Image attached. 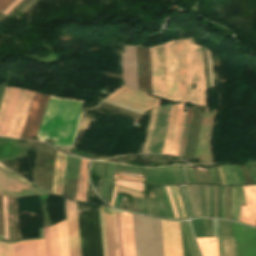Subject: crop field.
<instances>
[{
	"label": "crop field",
	"mask_w": 256,
	"mask_h": 256,
	"mask_svg": "<svg viewBox=\"0 0 256 256\" xmlns=\"http://www.w3.org/2000/svg\"><path fill=\"white\" fill-rule=\"evenodd\" d=\"M84 102L49 97L37 137L54 141L52 146L71 147Z\"/></svg>",
	"instance_id": "obj_1"
},
{
	"label": "crop field",
	"mask_w": 256,
	"mask_h": 256,
	"mask_svg": "<svg viewBox=\"0 0 256 256\" xmlns=\"http://www.w3.org/2000/svg\"><path fill=\"white\" fill-rule=\"evenodd\" d=\"M189 102L206 106L204 61L201 47L191 39L185 40ZM197 83V88L191 89V84Z\"/></svg>",
	"instance_id": "obj_2"
},
{
	"label": "crop field",
	"mask_w": 256,
	"mask_h": 256,
	"mask_svg": "<svg viewBox=\"0 0 256 256\" xmlns=\"http://www.w3.org/2000/svg\"><path fill=\"white\" fill-rule=\"evenodd\" d=\"M82 256H103L98 209L78 211Z\"/></svg>",
	"instance_id": "obj_3"
},
{
	"label": "crop field",
	"mask_w": 256,
	"mask_h": 256,
	"mask_svg": "<svg viewBox=\"0 0 256 256\" xmlns=\"http://www.w3.org/2000/svg\"><path fill=\"white\" fill-rule=\"evenodd\" d=\"M167 99L180 101L176 41L163 44Z\"/></svg>",
	"instance_id": "obj_4"
},
{
	"label": "crop field",
	"mask_w": 256,
	"mask_h": 256,
	"mask_svg": "<svg viewBox=\"0 0 256 256\" xmlns=\"http://www.w3.org/2000/svg\"><path fill=\"white\" fill-rule=\"evenodd\" d=\"M234 256H256V229L232 222Z\"/></svg>",
	"instance_id": "obj_5"
},
{
	"label": "crop field",
	"mask_w": 256,
	"mask_h": 256,
	"mask_svg": "<svg viewBox=\"0 0 256 256\" xmlns=\"http://www.w3.org/2000/svg\"><path fill=\"white\" fill-rule=\"evenodd\" d=\"M184 115L183 104L172 106L163 153L177 155Z\"/></svg>",
	"instance_id": "obj_6"
},
{
	"label": "crop field",
	"mask_w": 256,
	"mask_h": 256,
	"mask_svg": "<svg viewBox=\"0 0 256 256\" xmlns=\"http://www.w3.org/2000/svg\"><path fill=\"white\" fill-rule=\"evenodd\" d=\"M208 110L205 107L196 150L195 158H199V163H212L211 130L216 110L212 113H208Z\"/></svg>",
	"instance_id": "obj_7"
},
{
	"label": "crop field",
	"mask_w": 256,
	"mask_h": 256,
	"mask_svg": "<svg viewBox=\"0 0 256 256\" xmlns=\"http://www.w3.org/2000/svg\"><path fill=\"white\" fill-rule=\"evenodd\" d=\"M47 99L48 95L34 93L20 138L30 140L32 136L37 135Z\"/></svg>",
	"instance_id": "obj_8"
},
{
	"label": "crop field",
	"mask_w": 256,
	"mask_h": 256,
	"mask_svg": "<svg viewBox=\"0 0 256 256\" xmlns=\"http://www.w3.org/2000/svg\"><path fill=\"white\" fill-rule=\"evenodd\" d=\"M109 99L142 109L149 110L152 107L158 106L160 100L151 97L145 93L135 91L126 87L120 88Z\"/></svg>",
	"instance_id": "obj_9"
},
{
	"label": "crop field",
	"mask_w": 256,
	"mask_h": 256,
	"mask_svg": "<svg viewBox=\"0 0 256 256\" xmlns=\"http://www.w3.org/2000/svg\"><path fill=\"white\" fill-rule=\"evenodd\" d=\"M0 194L14 197L48 194L42 189H34L0 169Z\"/></svg>",
	"instance_id": "obj_10"
},
{
	"label": "crop field",
	"mask_w": 256,
	"mask_h": 256,
	"mask_svg": "<svg viewBox=\"0 0 256 256\" xmlns=\"http://www.w3.org/2000/svg\"><path fill=\"white\" fill-rule=\"evenodd\" d=\"M153 94L166 99L162 46L149 48Z\"/></svg>",
	"instance_id": "obj_11"
},
{
	"label": "crop field",
	"mask_w": 256,
	"mask_h": 256,
	"mask_svg": "<svg viewBox=\"0 0 256 256\" xmlns=\"http://www.w3.org/2000/svg\"><path fill=\"white\" fill-rule=\"evenodd\" d=\"M164 256H183L179 222L161 220Z\"/></svg>",
	"instance_id": "obj_12"
},
{
	"label": "crop field",
	"mask_w": 256,
	"mask_h": 256,
	"mask_svg": "<svg viewBox=\"0 0 256 256\" xmlns=\"http://www.w3.org/2000/svg\"><path fill=\"white\" fill-rule=\"evenodd\" d=\"M0 256H45L43 239L16 244L0 242Z\"/></svg>",
	"instance_id": "obj_13"
},
{
	"label": "crop field",
	"mask_w": 256,
	"mask_h": 256,
	"mask_svg": "<svg viewBox=\"0 0 256 256\" xmlns=\"http://www.w3.org/2000/svg\"><path fill=\"white\" fill-rule=\"evenodd\" d=\"M34 92L21 90L7 137L19 138Z\"/></svg>",
	"instance_id": "obj_14"
},
{
	"label": "crop field",
	"mask_w": 256,
	"mask_h": 256,
	"mask_svg": "<svg viewBox=\"0 0 256 256\" xmlns=\"http://www.w3.org/2000/svg\"><path fill=\"white\" fill-rule=\"evenodd\" d=\"M19 91V88L6 87L5 89L0 106V136L6 137L7 135Z\"/></svg>",
	"instance_id": "obj_15"
},
{
	"label": "crop field",
	"mask_w": 256,
	"mask_h": 256,
	"mask_svg": "<svg viewBox=\"0 0 256 256\" xmlns=\"http://www.w3.org/2000/svg\"><path fill=\"white\" fill-rule=\"evenodd\" d=\"M76 210V203L66 200L65 213L68 225L70 256H81Z\"/></svg>",
	"instance_id": "obj_16"
},
{
	"label": "crop field",
	"mask_w": 256,
	"mask_h": 256,
	"mask_svg": "<svg viewBox=\"0 0 256 256\" xmlns=\"http://www.w3.org/2000/svg\"><path fill=\"white\" fill-rule=\"evenodd\" d=\"M247 207H241L242 222L256 226V186L243 187Z\"/></svg>",
	"instance_id": "obj_17"
},
{
	"label": "crop field",
	"mask_w": 256,
	"mask_h": 256,
	"mask_svg": "<svg viewBox=\"0 0 256 256\" xmlns=\"http://www.w3.org/2000/svg\"><path fill=\"white\" fill-rule=\"evenodd\" d=\"M108 255L117 256L116 235L113 210L104 207Z\"/></svg>",
	"instance_id": "obj_18"
},
{
	"label": "crop field",
	"mask_w": 256,
	"mask_h": 256,
	"mask_svg": "<svg viewBox=\"0 0 256 256\" xmlns=\"http://www.w3.org/2000/svg\"><path fill=\"white\" fill-rule=\"evenodd\" d=\"M181 101L188 102L184 40L177 41Z\"/></svg>",
	"instance_id": "obj_19"
},
{
	"label": "crop field",
	"mask_w": 256,
	"mask_h": 256,
	"mask_svg": "<svg viewBox=\"0 0 256 256\" xmlns=\"http://www.w3.org/2000/svg\"><path fill=\"white\" fill-rule=\"evenodd\" d=\"M67 156L60 154L57 152L55 168H54V176L52 183V194H60L62 192V185L64 179L65 165H66Z\"/></svg>",
	"instance_id": "obj_20"
},
{
	"label": "crop field",
	"mask_w": 256,
	"mask_h": 256,
	"mask_svg": "<svg viewBox=\"0 0 256 256\" xmlns=\"http://www.w3.org/2000/svg\"><path fill=\"white\" fill-rule=\"evenodd\" d=\"M126 256H135L131 214L122 211Z\"/></svg>",
	"instance_id": "obj_21"
},
{
	"label": "crop field",
	"mask_w": 256,
	"mask_h": 256,
	"mask_svg": "<svg viewBox=\"0 0 256 256\" xmlns=\"http://www.w3.org/2000/svg\"><path fill=\"white\" fill-rule=\"evenodd\" d=\"M87 160L81 159L76 200L85 202L88 187Z\"/></svg>",
	"instance_id": "obj_22"
},
{
	"label": "crop field",
	"mask_w": 256,
	"mask_h": 256,
	"mask_svg": "<svg viewBox=\"0 0 256 256\" xmlns=\"http://www.w3.org/2000/svg\"><path fill=\"white\" fill-rule=\"evenodd\" d=\"M59 256H69L66 220L56 225Z\"/></svg>",
	"instance_id": "obj_23"
},
{
	"label": "crop field",
	"mask_w": 256,
	"mask_h": 256,
	"mask_svg": "<svg viewBox=\"0 0 256 256\" xmlns=\"http://www.w3.org/2000/svg\"><path fill=\"white\" fill-rule=\"evenodd\" d=\"M202 256H218L217 238H196Z\"/></svg>",
	"instance_id": "obj_24"
},
{
	"label": "crop field",
	"mask_w": 256,
	"mask_h": 256,
	"mask_svg": "<svg viewBox=\"0 0 256 256\" xmlns=\"http://www.w3.org/2000/svg\"><path fill=\"white\" fill-rule=\"evenodd\" d=\"M153 171H154V184L175 183L171 166L162 167V168H153Z\"/></svg>",
	"instance_id": "obj_25"
},
{
	"label": "crop field",
	"mask_w": 256,
	"mask_h": 256,
	"mask_svg": "<svg viewBox=\"0 0 256 256\" xmlns=\"http://www.w3.org/2000/svg\"><path fill=\"white\" fill-rule=\"evenodd\" d=\"M114 215H115L118 255L119 256H125V247H124V236H123V226H122L121 211L114 210Z\"/></svg>",
	"instance_id": "obj_26"
},
{
	"label": "crop field",
	"mask_w": 256,
	"mask_h": 256,
	"mask_svg": "<svg viewBox=\"0 0 256 256\" xmlns=\"http://www.w3.org/2000/svg\"><path fill=\"white\" fill-rule=\"evenodd\" d=\"M157 108H154L152 110L151 118H150V123H149V128L147 132V137H146V142H145V147H144V152H149L150 150V145H151V140H152V135H153V129H154V124H155V119H156V114H157Z\"/></svg>",
	"instance_id": "obj_27"
},
{
	"label": "crop field",
	"mask_w": 256,
	"mask_h": 256,
	"mask_svg": "<svg viewBox=\"0 0 256 256\" xmlns=\"http://www.w3.org/2000/svg\"><path fill=\"white\" fill-rule=\"evenodd\" d=\"M219 245V256H223V245H224V256H233L232 238H218Z\"/></svg>",
	"instance_id": "obj_28"
},
{
	"label": "crop field",
	"mask_w": 256,
	"mask_h": 256,
	"mask_svg": "<svg viewBox=\"0 0 256 256\" xmlns=\"http://www.w3.org/2000/svg\"><path fill=\"white\" fill-rule=\"evenodd\" d=\"M190 187H191V191H192V196H193V202H194V207H195L196 215L199 216L198 215V211H197V206H198L199 214H200V216H202L201 205H200V197H199V186H195L197 206H196V200H195L194 186H190ZM187 188H188V194H189V199H190L193 215L195 217L196 215H195V211H194V207H193V203H192V197H191L190 188H189V186H187Z\"/></svg>",
	"instance_id": "obj_29"
},
{
	"label": "crop field",
	"mask_w": 256,
	"mask_h": 256,
	"mask_svg": "<svg viewBox=\"0 0 256 256\" xmlns=\"http://www.w3.org/2000/svg\"><path fill=\"white\" fill-rule=\"evenodd\" d=\"M224 167H225L226 172H227V174H228V177H229V180H230V184H231V185H233V182H234V185H238V184H241V183H242V184H245L244 178H243V176H242V174H241L240 169H239L238 166H235V167H236V169H237V172H238L239 178H240V180H241V183H240V181H239V178H238V175H237V172H236V169H235L234 166H228L229 171H230V174H231L232 179H233V182H232V179H231V176H230V174H229V171H228L227 166H224Z\"/></svg>",
	"instance_id": "obj_30"
},
{
	"label": "crop field",
	"mask_w": 256,
	"mask_h": 256,
	"mask_svg": "<svg viewBox=\"0 0 256 256\" xmlns=\"http://www.w3.org/2000/svg\"><path fill=\"white\" fill-rule=\"evenodd\" d=\"M159 190H160V193H161V197H162V201H163V204H164V207H165L167 217L168 218H174V215H173L170 203H169V199H168V195H167L165 187L160 186Z\"/></svg>",
	"instance_id": "obj_31"
},
{
	"label": "crop field",
	"mask_w": 256,
	"mask_h": 256,
	"mask_svg": "<svg viewBox=\"0 0 256 256\" xmlns=\"http://www.w3.org/2000/svg\"><path fill=\"white\" fill-rule=\"evenodd\" d=\"M187 110H188V112H187V116H186L184 132H183V137H182V142H181V150L179 152V156H183V154H184V148H185L186 137H187L188 126H189V121H190V115H191L192 108H187Z\"/></svg>",
	"instance_id": "obj_32"
},
{
	"label": "crop field",
	"mask_w": 256,
	"mask_h": 256,
	"mask_svg": "<svg viewBox=\"0 0 256 256\" xmlns=\"http://www.w3.org/2000/svg\"><path fill=\"white\" fill-rule=\"evenodd\" d=\"M220 237H232L231 222L219 220Z\"/></svg>",
	"instance_id": "obj_33"
},
{
	"label": "crop field",
	"mask_w": 256,
	"mask_h": 256,
	"mask_svg": "<svg viewBox=\"0 0 256 256\" xmlns=\"http://www.w3.org/2000/svg\"><path fill=\"white\" fill-rule=\"evenodd\" d=\"M49 232H50V242H51V253H52V256H58L55 225L49 227Z\"/></svg>",
	"instance_id": "obj_34"
},
{
	"label": "crop field",
	"mask_w": 256,
	"mask_h": 256,
	"mask_svg": "<svg viewBox=\"0 0 256 256\" xmlns=\"http://www.w3.org/2000/svg\"><path fill=\"white\" fill-rule=\"evenodd\" d=\"M99 213H100V223H101V232H102V241H103V251H104V256H107V246H106V235H105L103 210L99 209Z\"/></svg>",
	"instance_id": "obj_35"
},
{
	"label": "crop field",
	"mask_w": 256,
	"mask_h": 256,
	"mask_svg": "<svg viewBox=\"0 0 256 256\" xmlns=\"http://www.w3.org/2000/svg\"><path fill=\"white\" fill-rule=\"evenodd\" d=\"M116 184L143 191V183L134 181H115Z\"/></svg>",
	"instance_id": "obj_36"
},
{
	"label": "crop field",
	"mask_w": 256,
	"mask_h": 256,
	"mask_svg": "<svg viewBox=\"0 0 256 256\" xmlns=\"http://www.w3.org/2000/svg\"><path fill=\"white\" fill-rule=\"evenodd\" d=\"M196 236H205L201 219L191 220Z\"/></svg>",
	"instance_id": "obj_37"
},
{
	"label": "crop field",
	"mask_w": 256,
	"mask_h": 256,
	"mask_svg": "<svg viewBox=\"0 0 256 256\" xmlns=\"http://www.w3.org/2000/svg\"><path fill=\"white\" fill-rule=\"evenodd\" d=\"M117 192L129 194L133 197H140V198L144 199V194L142 192L133 191V190H130V189H127V188L119 187Z\"/></svg>",
	"instance_id": "obj_38"
},
{
	"label": "crop field",
	"mask_w": 256,
	"mask_h": 256,
	"mask_svg": "<svg viewBox=\"0 0 256 256\" xmlns=\"http://www.w3.org/2000/svg\"><path fill=\"white\" fill-rule=\"evenodd\" d=\"M180 223H181V227H182V230H183L186 242H187V246H188V249H189V252H190V256H195L192 245H191V242H190V239H189V236H188V233H187L185 223H184V221L180 222Z\"/></svg>",
	"instance_id": "obj_39"
},
{
	"label": "crop field",
	"mask_w": 256,
	"mask_h": 256,
	"mask_svg": "<svg viewBox=\"0 0 256 256\" xmlns=\"http://www.w3.org/2000/svg\"><path fill=\"white\" fill-rule=\"evenodd\" d=\"M169 187H170V190H171V193H172V196H173V199H174L179 217L183 218L180 203H179L177 195H176L175 187L174 186H169Z\"/></svg>",
	"instance_id": "obj_40"
},
{
	"label": "crop field",
	"mask_w": 256,
	"mask_h": 256,
	"mask_svg": "<svg viewBox=\"0 0 256 256\" xmlns=\"http://www.w3.org/2000/svg\"><path fill=\"white\" fill-rule=\"evenodd\" d=\"M43 234H44L45 254H46V256H50L48 227L43 229Z\"/></svg>",
	"instance_id": "obj_41"
},
{
	"label": "crop field",
	"mask_w": 256,
	"mask_h": 256,
	"mask_svg": "<svg viewBox=\"0 0 256 256\" xmlns=\"http://www.w3.org/2000/svg\"><path fill=\"white\" fill-rule=\"evenodd\" d=\"M155 190V193H156V198H157V202H158V205H159V209H160V213L163 217H166V214H165V211H164V207H163V204H162V201H161V198H160V194H159V190L158 189H154ZM155 195V194H154ZM156 200V199H155ZM156 202V203H157ZM157 205V207H158ZM158 209V211H159ZM159 213V215H160ZM160 215V216H161ZM167 218V217H166Z\"/></svg>",
	"instance_id": "obj_42"
},
{
	"label": "crop field",
	"mask_w": 256,
	"mask_h": 256,
	"mask_svg": "<svg viewBox=\"0 0 256 256\" xmlns=\"http://www.w3.org/2000/svg\"><path fill=\"white\" fill-rule=\"evenodd\" d=\"M5 238L8 239L6 197H3Z\"/></svg>",
	"instance_id": "obj_43"
},
{
	"label": "crop field",
	"mask_w": 256,
	"mask_h": 256,
	"mask_svg": "<svg viewBox=\"0 0 256 256\" xmlns=\"http://www.w3.org/2000/svg\"><path fill=\"white\" fill-rule=\"evenodd\" d=\"M173 169L176 183H183L179 165H174Z\"/></svg>",
	"instance_id": "obj_44"
},
{
	"label": "crop field",
	"mask_w": 256,
	"mask_h": 256,
	"mask_svg": "<svg viewBox=\"0 0 256 256\" xmlns=\"http://www.w3.org/2000/svg\"><path fill=\"white\" fill-rule=\"evenodd\" d=\"M145 181L149 184H153V172L152 168H146V179Z\"/></svg>",
	"instance_id": "obj_45"
},
{
	"label": "crop field",
	"mask_w": 256,
	"mask_h": 256,
	"mask_svg": "<svg viewBox=\"0 0 256 256\" xmlns=\"http://www.w3.org/2000/svg\"><path fill=\"white\" fill-rule=\"evenodd\" d=\"M148 198H149V202H150L152 214H153V215H156V216H159V215H158V211H157V207H156L154 198H152V197H150V196H148Z\"/></svg>",
	"instance_id": "obj_46"
},
{
	"label": "crop field",
	"mask_w": 256,
	"mask_h": 256,
	"mask_svg": "<svg viewBox=\"0 0 256 256\" xmlns=\"http://www.w3.org/2000/svg\"><path fill=\"white\" fill-rule=\"evenodd\" d=\"M186 225H187V229H188V232H189V235H190V239H191L193 248H194V250H195L196 256H200V254H199V252H198V249H197V246H196V244H195V241H194V239L192 238L190 226H189V224H188L187 222H186Z\"/></svg>",
	"instance_id": "obj_47"
},
{
	"label": "crop field",
	"mask_w": 256,
	"mask_h": 256,
	"mask_svg": "<svg viewBox=\"0 0 256 256\" xmlns=\"http://www.w3.org/2000/svg\"><path fill=\"white\" fill-rule=\"evenodd\" d=\"M205 194H206V209H207V216H209V217H210L209 191H208V186H205Z\"/></svg>",
	"instance_id": "obj_48"
},
{
	"label": "crop field",
	"mask_w": 256,
	"mask_h": 256,
	"mask_svg": "<svg viewBox=\"0 0 256 256\" xmlns=\"http://www.w3.org/2000/svg\"><path fill=\"white\" fill-rule=\"evenodd\" d=\"M21 0H14L7 9L3 12V14L7 15Z\"/></svg>",
	"instance_id": "obj_49"
},
{
	"label": "crop field",
	"mask_w": 256,
	"mask_h": 256,
	"mask_svg": "<svg viewBox=\"0 0 256 256\" xmlns=\"http://www.w3.org/2000/svg\"><path fill=\"white\" fill-rule=\"evenodd\" d=\"M116 176L118 177H124V178H128L126 180H135V181H144V178H139V177H129V176H119V175H114V179H124V178H116Z\"/></svg>",
	"instance_id": "obj_50"
},
{
	"label": "crop field",
	"mask_w": 256,
	"mask_h": 256,
	"mask_svg": "<svg viewBox=\"0 0 256 256\" xmlns=\"http://www.w3.org/2000/svg\"><path fill=\"white\" fill-rule=\"evenodd\" d=\"M0 168L3 169V170H5L6 172L12 174L13 176L17 177L18 179H20V180L26 182L27 184L31 185L32 187L37 188V187H35L34 185H32L31 183H29V182L25 181L24 179L20 178L18 175L14 174V173L11 172L10 170L6 169V168L3 167L1 164H0Z\"/></svg>",
	"instance_id": "obj_51"
},
{
	"label": "crop field",
	"mask_w": 256,
	"mask_h": 256,
	"mask_svg": "<svg viewBox=\"0 0 256 256\" xmlns=\"http://www.w3.org/2000/svg\"><path fill=\"white\" fill-rule=\"evenodd\" d=\"M214 194H217V187L214 186ZM214 217H217V195H214Z\"/></svg>",
	"instance_id": "obj_52"
},
{
	"label": "crop field",
	"mask_w": 256,
	"mask_h": 256,
	"mask_svg": "<svg viewBox=\"0 0 256 256\" xmlns=\"http://www.w3.org/2000/svg\"><path fill=\"white\" fill-rule=\"evenodd\" d=\"M200 188H201L202 195H203L204 212H205V216H206L204 186H200ZM201 191H200V197H201V205H202V213H203V203H202ZM203 216H204V213H203Z\"/></svg>",
	"instance_id": "obj_53"
},
{
	"label": "crop field",
	"mask_w": 256,
	"mask_h": 256,
	"mask_svg": "<svg viewBox=\"0 0 256 256\" xmlns=\"http://www.w3.org/2000/svg\"><path fill=\"white\" fill-rule=\"evenodd\" d=\"M209 190H210L211 217H213V186H209Z\"/></svg>",
	"instance_id": "obj_54"
},
{
	"label": "crop field",
	"mask_w": 256,
	"mask_h": 256,
	"mask_svg": "<svg viewBox=\"0 0 256 256\" xmlns=\"http://www.w3.org/2000/svg\"><path fill=\"white\" fill-rule=\"evenodd\" d=\"M206 236H210L208 219H202Z\"/></svg>",
	"instance_id": "obj_55"
},
{
	"label": "crop field",
	"mask_w": 256,
	"mask_h": 256,
	"mask_svg": "<svg viewBox=\"0 0 256 256\" xmlns=\"http://www.w3.org/2000/svg\"><path fill=\"white\" fill-rule=\"evenodd\" d=\"M102 178L107 180V162H102Z\"/></svg>",
	"instance_id": "obj_56"
},
{
	"label": "crop field",
	"mask_w": 256,
	"mask_h": 256,
	"mask_svg": "<svg viewBox=\"0 0 256 256\" xmlns=\"http://www.w3.org/2000/svg\"><path fill=\"white\" fill-rule=\"evenodd\" d=\"M214 236H219L218 220H213Z\"/></svg>",
	"instance_id": "obj_57"
},
{
	"label": "crop field",
	"mask_w": 256,
	"mask_h": 256,
	"mask_svg": "<svg viewBox=\"0 0 256 256\" xmlns=\"http://www.w3.org/2000/svg\"><path fill=\"white\" fill-rule=\"evenodd\" d=\"M183 188V191H184V194H185V198H186V201H187V204H188V208H189V212H190V216H192V212H191V208H190V204H189V200H188V195H187V189H186V186H182Z\"/></svg>",
	"instance_id": "obj_58"
},
{
	"label": "crop field",
	"mask_w": 256,
	"mask_h": 256,
	"mask_svg": "<svg viewBox=\"0 0 256 256\" xmlns=\"http://www.w3.org/2000/svg\"><path fill=\"white\" fill-rule=\"evenodd\" d=\"M12 0H0V11H2Z\"/></svg>",
	"instance_id": "obj_59"
},
{
	"label": "crop field",
	"mask_w": 256,
	"mask_h": 256,
	"mask_svg": "<svg viewBox=\"0 0 256 256\" xmlns=\"http://www.w3.org/2000/svg\"><path fill=\"white\" fill-rule=\"evenodd\" d=\"M188 170H189V167H188ZM188 170H187V168H185L186 176H187V180H188V184H191L192 181H193V184H194L195 182H194L192 170H191V168H190V170H191V175H192V181H191V182H190L191 175H190V178H189L190 170H189V174H188Z\"/></svg>",
	"instance_id": "obj_60"
},
{
	"label": "crop field",
	"mask_w": 256,
	"mask_h": 256,
	"mask_svg": "<svg viewBox=\"0 0 256 256\" xmlns=\"http://www.w3.org/2000/svg\"><path fill=\"white\" fill-rule=\"evenodd\" d=\"M225 219H227V187H225Z\"/></svg>",
	"instance_id": "obj_61"
},
{
	"label": "crop field",
	"mask_w": 256,
	"mask_h": 256,
	"mask_svg": "<svg viewBox=\"0 0 256 256\" xmlns=\"http://www.w3.org/2000/svg\"><path fill=\"white\" fill-rule=\"evenodd\" d=\"M45 163H46V158L40 157L38 165L45 168Z\"/></svg>",
	"instance_id": "obj_62"
},
{
	"label": "crop field",
	"mask_w": 256,
	"mask_h": 256,
	"mask_svg": "<svg viewBox=\"0 0 256 256\" xmlns=\"http://www.w3.org/2000/svg\"><path fill=\"white\" fill-rule=\"evenodd\" d=\"M177 187H178L179 192H180V194H181L182 203H183V207H184V210H185L186 216L188 217V215H187V211H186V207H185V203H184V199H183V195H182V191H181V187H180V186H177Z\"/></svg>",
	"instance_id": "obj_63"
},
{
	"label": "crop field",
	"mask_w": 256,
	"mask_h": 256,
	"mask_svg": "<svg viewBox=\"0 0 256 256\" xmlns=\"http://www.w3.org/2000/svg\"><path fill=\"white\" fill-rule=\"evenodd\" d=\"M219 217L221 218V190L219 187Z\"/></svg>",
	"instance_id": "obj_64"
},
{
	"label": "crop field",
	"mask_w": 256,
	"mask_h": 256,
	"mask_svg": "<svg viewBox=\"0 0 256 256\" xmlns=\"http://www.w3.org/2000/svg\"><path fill=\"white\" fill-rule=\"evenodd\" d=\"M221 168H222L223 175H224V178H225V183H226V185H229V180H228L227 174H226V172H225L223 166H221Z\"/></svg>",
	"instance_id": "obj_65"
},
{
	"label": "crop field",
	"mask_w": 256,
	"mask_h": 256,
	"mask_svg": "<svg viewBox=\"0 0 256 256\" xmlns=\"http://www.w3.org/2000/svg\"><path fill=\"white\" fill-rule=\"evenodd\" d=\"M214 170H215V174H216L217 182H218V184H221V178H220V175H219V173H218L217 168H215Z\"/></svg>",
	"instance_id": "obj_66"
},
{
	"label": "crop field",
	"mask_w": 256,
	"mask_h": 256,
	"mask_svg": "<svg viewBox=\"0 0 256 256\" xmlns=\"http://www.w3.org/2000/svg\"><path fill=\"white\" fill-rule=\"evenodd\" d=\"M209 170H210V174H211V177H212L213 183H214V184H217V183H216V179H215V175H214V171H213V169H209Z\"/></svg>",
	"instance_id": "obj_67"
},
{
	"label": "crop field",
	"mask_w": 256,
	"mask_h": 256,
	"mask_svg": "<svg viewBox=\"0 0 256 256\" xmlns=\"http://www.w3.org/2000/svg\"><path fill=\"white\" fill-rule=\"evenodd\" d=\"M143 213L147 214L145 200L142 199Z\"/></svg>",
	"instance_id": "obj_68"
},
{
	"label": "crop field",
	"mask_w": 256,
	"mask_h": 256,
	"mask_svg": "<svg viewBox=\"0 0 256 256\" xmlns=\"http://www.w3.org/2000/svg\"><path fill=\"white\" fill-rule=\"evenodd\" d=\"M113 188H114V185L111 186V190H110V194H109V198H108V203H110L112 192H113Z\"/></svg>",
	"instance_id": "obj_69"
},
{
	"label": "crop field",
	"mask_w": 256,
	"mask_h": 256,
	"mask_svg": "<svg viewBox=\"0 0 256 256\" xmlns=\"http://www.w3.org/2000/svg\"><path fill=\"white\" fill-rule=\"evenodd\" d=\"M175 187H176V186H175ZM176 190H177V194H178V197H179V200H180V203H181V198H180V194H179V192H178L177 187H176ZM181 207H182V203H181ZM182 211H183L184 217H186V216H185V213H184V210H183V207H182Z\"/></svg>",
	"instance_id": "obj_70"
},
{
	"label": "crop field",
	"mask_w": 256,
	"mask_h": 256,
	"mask_svg": "<svg viewBox=\"0 0 256 256\" xmlns=\"http://www.w3.org/2000/svg\"><path fill=\"white\" fill-rule=\"evenodd\" d=\"M116 189H117V185H115V188H114V193H113L111 205H113V202H114V198H115V194H116Z\"/></svg>",
	"instance_id": "obj_71"
},
{
	"label": "crop field",
	"mask_w": 256,
	"mask_h": 256,
	"mask_svg": "<svg viewBox=\"0 0 256 256\" xmlns=\"http://www.w3.org/2000/svg\"><path fill=\"white\" fill-rule=\"evenodd\" d=\"M115 173H119V172H115ZM119 174L131 175V176H144V175H139V174H129V173H119Z\"/></svg>",
	"instance_id": "obj_72"
},
{
	"label": "crop field",
	"mask_w": 256,
	"mask_h": 256,
	"mask_svg": "<svg viewBox=\"0 0 256 256\" xmlns=\"http://www.w3.org/2000/svg\"><path fill=\"white\" fill-rule=\"evenodd\" d=\"M180 168H181V172H182L183 181H184V183H186L183 166L180 165Z\"/></svg>",
	"instance_id": "obj_73"
},
{
	"label": "crop field",
	"mask_w": 256,
	"mask_h": 256,
	"mask_svg": "<svg viewBox=\"0 0 256 256\" xmlns=\"http://www.w3.org/2000/svg\"><path fill=\"white\" fill-rule=\"evenodd\" d=\"M209 223H210L211 236H213L212 220L209 219Z\"/></svg>",
	"instance_id": "obj_74"
},
{
	"label": "crop field",
	"mask_w": 256,
	"mask_h": 256,
	"mask_svg": "<svg viewBox=\"0 0 256 256\" xmlns=\"http://www.w3.org/2000/svg\"><path fill=\"white\" fill-rule=\"evenodd\" d=\"M218 170H219V173H220L221 178H222V184H224V185H225V183H224V179H223V175H222V172H221V168L219 167V168H218Z\"/></svg>",
	"instance_id": "obj_75"
},
{
	"label": "crop field",
	"mask_w": 256,
	"mask_h": 256,
	"mask_svg": "<svg viewBox=\"0 0 256 256\" xmlns=\"http://www.w3.org/2000/svg\"><path fill=\"white\" fill-rule=\"evenodd\" d=\"M115 166H118V165H115ZM119 167H124V166H119Z\"/></svg>",
	"instance_id": "obj_76"
},
{
	"label": "crop field",
	"mask_w": 256,
	"mask_h": 256,
	"mask_svg": "<svg viewBox=\"0 0 256 256\" xmlns=\"http://www.w3.org/2000/svg\"><path fill=\"white\" fill-rule=\"evenodd\" d=\"M193 10H195L193 7H192ZM197 12V10H195Z\"/></svg>",
	"instance_id": "obj_77"
}]
</instances>
